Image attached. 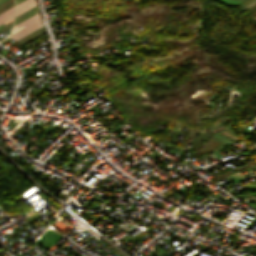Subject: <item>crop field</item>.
<instances>
[{
    "label": "crop field",
    "instance_id": "1",
    "mask_svg": "<svg viewBox=\"0 0 256 256\" xmlns=\"http://www.w3.org/2000/svg\"><path fill=\"white\" fill-rule=\"evenodd\" d=\"M202 131H203V129H202ZM202 131H201V132H202ZM205 131H206V130H205ZM201 132H200V134H201ZM203 132H204V131H203ZM204 133H205V132H204ZM204 133H203V134H204ZM207 133H208V131H206V133L204 134V136L202 135L203 137L199 134L202 138L198 135V136L201 138V140H200V139L198 138V136H197V138H198L200 141L196 138V139L199 141L198 144H197V143H196L197 140L195 139L196 142H195V140H194V142L197 144V145L195 146V148L193 147V146H194V145H193L194 142L191 144V146L193 145L192 147L194 148V150H196L197 146L199 145V143L202 141V139L205 137V135H206ZM195 143H194V144H195ZM191 146H190V147H191ZM192 147H191V149H192ZM189 149H190V148H189Z\"/></svg>",
    "mask_w": 256,
    "mask_h": 256
},
{
    "label": "crop field",
    "instance_id": "2",
    "mask_svg": "<svg viewBox=\"0 0 256 256\" xmlns=\"http://www.w3.org/2000/svg\"><path fill=\"white\" fill-rule=\"evenodd\" d=\"M223 145H224V144L220 143V144H219L218 146H216L214 149L209 150V151H206V152H204V153H202V154H206V153H209V152H213V151H215V150H218V149L221 148Z\"/></svg>",
    "mask_w": 256,
    "mask_h": 256
},
{
    "label": "crop field",
    "instance_id": "3",
    "mask_svg": "<svg viewBox=\"0 0 256 256\" xmlns=\"http://www.w3.org/2000/svg\"><path fill=\"white\" fill-rule=\"evenodd\" d=\"M220 142H218V141H215L208 149H212V148H214L217 144H219ZM208 149H206V150H208ZM206 150H204V151H206ZM204 151H202V152H204ZM201 153V152H200Z\"/></svg>",
    "mask_w": 256,
    "mask_h": 256
},
{
    "label": "crop field",
    "instance_id": "4",
    "mask_svg": "<svg viewBox=\"0 0 256 256\" xmlns=\"http://www.w3.org/2000/svg\"><path fill=\"white\" fill-rule=\"evenodd\" d=\"M224 132L229 133V134H231V135H234L233 131H231V130H229V129L224 130ZM234 136H235V135H234Z\"/></svg>",
    "mask_w": 256,
    "mask_h": 256
},
{
    "label": "crop field",
    "instance_id": "5",
    "mask_svg": "<svg viewBox=\"0 0 256 256\" xmlns=\"http://www.w3.org/2000/svg\"><path fill=\"white\" fill-rule=\"evenodd\" d=\"M180 130H181V128H179V130L177 131V133L175 134V136L173 137V139L171 140V142L174 141V139H175V138L177 137V135L179 134Z\"/></svg>",
    "mask_w": 256,
    "mask_h": 256
},
{
    "label": "crop field",
    "instance_id": "6",
    "mask_svg": "<svg viewBox=\"0 0 256 256\" xmlns=\"http://www.w3.org/2000/svg\"><path fill=\"white\" fill-rule=\"evenodd\" d=\"M251 1H253V0H249V1H247V2H245V3H243L242 5H247L248 3H250Z\"/></svg>",
    "mask_w": 256,
    "mask_h": 256
},
{
    "label": "crop field",
    "instance_id": "7",
    "mask_svg": "<svg viewBox=\"0 0 256 256\" xmlns=\"http://www.w3.org/2000/svg\"><path fill=\"white\" fill-rule=\"evenodd\" d=\"M221 124H222V122H221V123H219V124H217V125H215V126H213V127H211V129H213V128H215V127H217V126L221 125Z\"/></svg>",
    "mask_w": 256,
    "mask_h": 256
},
{
    "label": "crop field",
    "instance_id": "8",
    "mask_svg": "<svg viewBox=\"0 0 256 256\" xmlns=\"http://www.w3.org/2000/svg\"><path fill=\"white\" fill-rule=\"evenodd\" d=\"M245 189H256V188H243V189H241V190H245Z\"/></svg>",
    "mask_w": 256,
    "mask_h": 256
},
{
    "label": "crop field",
    "instance_id": "9",
    "mask_svg": "<svg viewBox=\"0 0 256 256\" xmlns=\"http://www.w3.org/2000/svg\"><path fill=\"white\" fill-rule=\"evenodd\" d=\"M254 21H256V20H254Z\"/></svg>",
    "mask_w": 256,
    "mask_h": 256
}]
</instances>
